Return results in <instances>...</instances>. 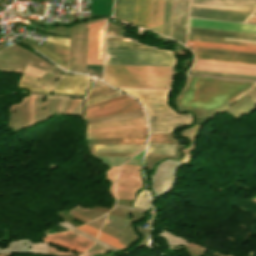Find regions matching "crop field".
Segmentation results:
<instances>
[{
    "label": "crop field",
    "mask_w": 256,
    "mask_h": 256,
    "mask_svg": "<svg viewBox=\"0 0 256 256\" xmlns=\"http://www.w3.org/2000/svg\"><path fill=\"white\" fill-rule=\"evenodd\" d=\"M254 83L189 76L176 103L179 108L219 111L238 99Z\"/></svg>",
    "instance_id": "crop-field-1"
},
{
    "label": "crop field",
    "mask_w": 256,
    "mask_h": 256,
    "mask_svg": "<svg viewBox=\"0 0 256 256\" xmlns=\"http://www.w3.org/2000/svg\"><path fill=\"white\" fill-rule=\"evenodd\" d=\"M171 67L104 65V80L117 87L170 88Z\"/></svg>",
    "instance_id": "crop-field-2"
},
{
    "label": "crop field",
    "mask_w": 256,
    "mask_h": 256,
    "mask_svg": "<svg viewBox=\"0 0 256 256\" xmlns=\"http://www.w3.org/2000/svg\"><path fill=\"white\" fill-rule=\"evenodd\" d=\"M169 51L105 48L104 64L173 66Z\"/></svg>",
    "instance_id": "crop-field-3"
},
{
    "label": "crop field",
    "mask_w": 256,
    "mask_h": 256,
    "mask_svg": "<svg viewBox=\"0 0 256 256\" xmlns=\"http://www.w3.org/2000/svg\"><path fill=\"white\" fill-rule=\"evenodd\" d=\"M190 6L253 12L256 0H191Z\"/></svg>",
    "instance_id": "crop-field-4"
},
{
    "label": "crop field",
    "mask_w": 256,
    "mask_h": 256,
    "mask_svg": "<svg viewBox=\"0 0 256 256\" xmlns=\"http://www.w3.org/2000/svg\"><path fill=\"white\" fill-rule=\"evenodd\" d=\"M251 13L190 7L189 16L196 18L244 22Z\"/></svg>",
    "instance_id": "crop-field-5"
},
{
    "label": "crop field",
    "mask_w": 256,
    "mask_h": 256,
    "mask_svg": "<svg viewBox=\"0 0 256 256\" xmlns=\"http://www.w3.org/2000/svg\"><path fill=\"white\" fill-rule=\"evenodd\" d=\"M46 241L73 250L78 253L85 251L93 242L69 231L43 238Z\"/></svg>",
    "instance_id": "crop-field-6"
},
{
    "label": "crop field",
    "mask_w": 256,
    "mask_h": 256,
    "mask_svg": "<svg viewBox=\"0 0 256 256\" xmlns=\"http://www.w3.org/2000/svg\"><path fill=\"white\" fill-rule=\"evenodd\" d=\"M150 133L172 132L182 125H191L192 116L148 117Z\"/></svg>",
    "instance_id": "crop-field-7"
},
{
    "label": "crop field",
    "mask_w": 256,
    "mask_h": 256,
    "mask_svg": "<svg viewBox=\"0 0 256 256\" xmlns=\"http://www.w3.org/2000/svg\"><path fill=\"white\" fill-rule=\"evenodd\" d=\"M90 80L81 76L62 75L52 91L85 95Z\"/></svg>",
    "instance_id": "crop-field-8"
},
{
    "label": "crop field",
    "mask_w": 256,
    "mask_h": 256,
    "mask_svg": "<svg viewBox=\"0 0 256 256\" xmlns=\"http://www.w3.org/2000/svg\"><path fill=\"white\" fill-rule=\"evenodd\" d=\"M189 0H176L172 38L184 45Z\"/></svg>",
    "instance_id": "crop-field-9"
},
{
    "label": "crop field",
    "mask_w": 256,
    "mask_h": 256,
    "mask_svg": "<svg viewBox=\"0 0 256 256\" xmlns=\"http://www.w3.org/2000/svg\"><path fill=\"white\" fill-rule=\"evenodd\" d=\"M22 42H24V43L30 45L31 47L35 48L36 50L43 53L44 55H46L47 57L52 59L54 62L59 64L61 67L66 69L67 52H68V47L67 46H63V45H59V44H55V43L45 41L43 46L40 47V46H38L34 43H31V42H28V41H25V40H22Z\"/></svg>",
    "instance_id": "crop-field-10"
},
{
    "label": "crop field",
    "mask_w": 256,
    "mask_h": 256,
    "mask_svg": "<svg viewBox=\"0 0 256 256\" xmlns=\"http://www.w3.org/2000/svg\"><path fill=\"white\" fill-rule=\"evenodd\" d=\"M193 67L256 74V65H248V64H239V63H229V62H219V61H209V60L196 59L195 64H194Z\"/></svg>",
    "instance_id": "crop-field-11"
},
{
    "label": "crop field",
    "mask_w": 256,
    "mask_h": 256,
    "mask_svg": "<svg viewBox=\"0 0 256 256\" xmlns=\"http://www.w3.org/2000/svg\"><path fill=\"white\" fill-rule=\"evenodd\" d=\"M188 26L256 33L255 25H245V24H235V23L189 19Z\"/></svg>",
    "instance_id": "crop-field-12"
},
{
    "label": "crop field",
    "mask_w": 256,
    "mask_h": 256,
    "mask_svg": "<svg viewBox=\"0 0 256 256\" xmlns=\"http://www.w3.org/2000/svg\"><path fill=\"white\" fill-rule=\"evenodd\" d=\"M138 103L131 97L119 99L116 101L108 102L103 105L91 107L85 109L86 117L94 116L99 114L110 113L114 111L129 109L133 107H138Z\"/></svg>",
    "instance_id": "crop-field-13"
},
{
    "label": "crop field",
    "mask_w": 256,
    "mask_h": 256,
    "mask_svg": "<svg viewBox=\"0 0 256 256\" xmlns=\"http://www.w3.org/2000/svg\"><path fill=\"white\" fill-rule=\"evenodd\" d=\"M132 136H146V127L87 132V138Z\"/></svg>",
    "instance_id": "crop-field-14"
},
{
    "label": "crop field",
    "mask_w": 256,
    "mask_h": 256,
    "mask_svg": "<svg viewBox=\"0 0 256 256\" xmlns=\"http://www.w3.org/2000/svg\"><path fill=\"white\" fill-rule=\"evenodd\" d=\"M188 34L218 36V37H225V38L256 41V34L230 32V31H220V30H211V29H202V28L188 27Z\"/></svg>",
    "instance_id": "crop-field-15"
},
{
    "label": "crop field",
    "mask_w": 256,
    "mask_h": 256,
    "mask_svg": "<svg viewBox=\"0 0 256 256\" xmlns=\"http://www.w3.org/2000/svg\"><path fill=\"white\" fill-rule=\"evenodd\" d=\"M135 0H115L113 17L133 25Z\"/></svg>",
    "instance_id": "crop-field-16"
},
{
    "label": "crop field",
    "mask_w": 256,
    "mask_h": 256,
    "mask_svg": "<svg viewBox=\"0 0 256 256\" xmlns=\"http://www.w3.org/2000/svg\"><path fill=\"white\" fill-rule=\"evenodd\" d=\"M164 0H151L148 28L161 34Z\"/></svg>",
    "instance_id": "crop-field-17"
},
{
    "label": "crop field",
    "mask_w": 256,
    "mask_h": 256,
    "mask_svg": "<svg viewBox=\"0 0 256 256\" xmlns=\"http://www.w3.org/2000/svg\"><path fill=\"white\" fill-rule=\"evenodd\" d=\"M180 161L166 160L159 164L153 178L157 179H174L175 171L179 166Z\"/></svg>",
    "instance_id": "crop-field-18"
},
{
    "label": "crop field",
    "mask_w": 256,
    "mask_h": 256,
    "mask_svg": "<svg viewBox=\"0 0 256 256\" xmlns=\"http://www.w3.org/2000/svg\"><path fill=\"white\" fill-rule=\"evenodd\" d=\"M150 0H136L134 25L147 29Z\"/></svg>",
    "instance_id": "crop-field-19"
},
{
    "label": "crop field",
    "mask_w": 256,
    "mask_h": 256,
    "mask_svg": "<svg viewBox=\"0 0 256 256\" xmlns=\"http://www.w3.org/2000/svg\"><path fill=\"white\" fill-rule=\"evenodd\" d=\"M187 42H192V41H187ZM187 46L256 53V48H252V47H242V46H232V45H222V44H212V43H202V42H192V45H187Z\"/></svg>",
    "instance_id": "crop-field-20"
},
{
    "label": "crop field",
    "mask_w": 256,
    "mask_h": 256,
    "mask_svg": "<svg viewBox=\"0 0 256 256\" xmlns=\"http://www.w3.org/2000/svg\"><path fill=\"white\" fill-rule=\"evenodd\" d=\"M18 87L48 92L51 86L39 80L22 75Z\"/></svg>",
    "instance_id": "crop-field-21"
},
{
    "label": "crop field",
    "mask_w": 256,
    "mask_h": 256,
    "mask_svg": "<svg viewBox=\"0 0 256 256\" xmlns=\"http://www.w3.org/2000/svg\"><path fill=\"white\" fill-rule=\"evenodd\" d=\"M142 123H146L145 117L90 124V125H87V129L142 124Z\"/></svg>",
    "instance_id": "crop-field-22"
},
{
    "label": "crop field",
    "mask_w": 256,
    "mask_h": 256,
    "mask_svg": "<svg viewBox=\"0 0 256 256\" xmlns=\"http://www.w3.org/2000/svg\"><path fill=\"white\" fill-rule=\"evenodd\" d=\"M187 40L256 47V43L223 40V38H213V37L188 35Z\"/></svg>",
    "instance_id": "crop-field-23"
},
{
    "label": "crop field",
    "mask_w": 256,
    "mask_h": 256,
    "mask_svg": "<svg viewBox=\"0 0 256 256\" xmlns=\"http://www.w3.org/2000/svg\"><path fill=\"white\" fill-rule=\"evenodd\" d=\"M195 58L212 59V60H223V61H232V62H242V63L256 64V59L229 57V56H219V55H209V54H199V53H195Z\"/></svg>",
    "instance_id": "crop-field-24"
},
{
    "label": "crop field",
    "mask_w": 256,
    "mask_h": 256,
    "mask_svg": "<svg viewBox=\"0 0 256 256\" xmlns=\"http://www.w3.org/2000/svg\"><path fill=\"white\" fill-rule=\"evenodd\" d=\"M175 145L148 142L146 153L173 155Z\"/></svg>",
    "instance_id": "crop-field-25"
},
{
    "label": "crop field",
    "mask_w": 256,
    "mask_h": 256,
    "mask_svg": "<svg viewBox=\"0 0 256 256\" xmlns=\"http://www.w3.org/2000/svg\"><path fill=\"white\" fill-rule=\"evenodd\" d=\"M189 48L193 52H199V53L256 58V54H251V53H241V52H231V51H221V50H211V49H201V48H191V47H189Z\"/></svg>",
    "instance_id": "crop-field-26"
},
{
    "label": "crop field",
    "mask_w": 256,
    "mask_h": 256,
    "mask_svg": "<svg viewBox=\"0 0 256 256\" xmlns=\"http://www.w3.org/2000/svg\"><path fill=\"white\" fill-rule=\"evenodd\" d=\"M145 145H94L95 150L136 151Z\"/></svg>",
    "instance_id": "crop-field-27"
},
{
    "label": "crop field",
    "mask_w": 256,
    "mask_h": 256,
    "mask_svg": "<svg viewBox=\"0 0 256 256\" xmlns=\"http://www.w3.org/2000/svg\"><path fill=\"white\" fill-rule=\"evenodd\" d=\"M172 0H165L162 34L168 36Z\"/></svg>",
    "instance_id": "crop-field-28"
},
{
    "label": "crop field",
    "mask_w": 256,
    "mask_h": 256,
    "mask_svg": "<svg viewBox=\"0 0 256 256\" xmlns=\"http://www.w3.org/2000/svg\"><path fill=\"white\" fill-rule=\"evenodd\" d=\"M114 92H117V91L109 88L106 85L100 86V87H96V88H92L90 90V92H89V95H88L86 101L90 100V99H94V98L100 97V96H104V95H107V94H110V93H114Z\"/></svg>",
    "instance_id": "crop-field-29"
},
{
    "label": "crop field",
    "mask_w": 256,
    "mask_h": 256,
    "mask_svg": "<svg viewBox=\"0 0 256 256\" xmlns=\"http://www.w3.org/2000/svg\"><path fill=\"white\" fill-rule=\"evenodd\" d=\"M105 47L150 49L134 42L106 41ZM153 49V48H152Z\"/></svg>",
    "instance_id": "crop-field-30"
},
{
    "label": "crop field",
    "mask_w": 256,
    "mask_h": 256,
    "mask_svg": "<svg viewBox=\"0 0 256 256\" xmlns=\"http://www.w3.org/2000/svg\"><path fill=\"white\" fill-rule=\"evenodd\" d=\"M134 206L148 208L151 206L146 189H143L134 201Z\"/></svg>",
    "instance_id": "crop-field-31"
},
{
    "label": "crop field",
    "mask_w": 256,
    "mask_h": 256,
    "mask_svg": "<svg viewBox=\"0 0 256 256\" xmlns=\"http://www.w3.org/2000/svg\"><path fill=\"white\" fill-rule=\"evenodd\" d=\"M98 238L107 242V243H109V244H111V245H113V246H115V247H117V248H119V249L124 247V246L117 243V239H115V238H113V237H111V236H109V235H107L103 232H100Z\"/></svg>",
    "instance_id": "crop-field-32"
},
{
    "label": "crop field",
    "mask_w": 256,
    "mask_h": 256,
    "mask_svg": "<svg viewBox=\"0 0 256 256\" xmlns=\"http://www.w3.org/2000/svg\"><path fill=\"white\" fill-rule=\"evenodd\" d=\"M163 180H154L152 179V188L156 196L162 193Z\"/></svg>",
    "instance_id": "crop-field-33"
},
{
    "label": "crop field",
    "mask_w": 256,
    "mask_h": 256,
    "mask_svg": "<svg viewBox=\"0 0 256 256\" xmlns=\"http://www.w3.org/2000/svg\"><path fill=\"white\" fill-rule=\"evenodd\" d=\"M192 72L256 79V77H254V76H244V75H235V74H226V73H216V72H207V71H197V70H193Z\"/></svg>",
    "instance_id": "crop-field-34"
},
{
    "label": "crop field",
    "mask_w": 256,
    "mask_h": 256,
    "mask_svg": "<svg viewBox=\"0 0 256 256\" xmlns=\"http://www.w3.org/2000/svg\"><path fill=\"white\" fill-rule=\"evenodd\" d=\"M77 228L82 230V231H84V232H86V233H88V234H90V235H92V236H94V237H97V234L99 232L98 230H96V229H94V228H92V227H90V226H88L86 224H84V225H82L80 227H77Z\"/></svg>",
    "instance_id": "crop-field-35"
},
{
    "label": "crop field",
    "mask_w": 256,
    "mask_h": 256,
    "mask_svg": "<svg viewBox=\"0 0 256 256\" xmlns=\"http://www.w3.org/2000/svg\"><path fill=\"white\" fill-rule=\"evenodd\" d=\"M47 40L69 46V39L67 38L48 36Z\"/></svg>",
    "instance_id": "crop-field-36"
},
{
    "label": "crop field",
    "mask_w": 256,
    "mask_h": 256,
    "mask_svg": "<svg viewBox=\"0 0 256 256\" xmlns=\"http://www.w3.org/2000/svg\"><path fill=\"white\" fill-rule=\"evenodd\" d=\"M122 97H126V96H125L124 94H123V95H120V96H116V97H113V98H110V99H107V100H103V101H100V102H97V103H94V104L85 106V108H86V107H90V106H94V105H97V104L105 103V102L110 101V100L122 98Z\"/></svg>",
    "instance_id": "crop-field-37"
},
{
    "label": "crop field",
    "mask_w": 256,
    "mask_h": 256,
    "mask_svg": "<svg viewBox=\"0 0 256 256\" xmlns=\"http://www.w3.org/2000/svg\"><path fill=\"white\" fill-rule=\"evenodd\" d=\"M116 207H118V208H124V209H130V210H136V211H142V212L145 211V209H143V208L130 207V206H124V205H119V204H117Z\"/></svg>",
    "instance_id": "crop-field-38"
},
{
    "label": "crop field",
    "mask_w": 256,
    "mask_h": 256,
    "mask_svg": "<svg viewBox=\"0 0 256 256\" xmlns=\"http://www.w3.org/2000/svg\"><path fill=\"white\" fill-rule=\"evenodd\" d=\"M119 94H122V93L118 92V93L111 94V95H108V96H105V97H101V98H98V99H95V100H91V101L86 102V104H90V103H93V102H96V101H100V100H103V99H106V98H110V97H113V96H116V95H119Z\"/></svg>",
    "instance_id": "crop-field-39"
},
{
    "label": "crop field",
    "mask_w": 256,
    "mask_h": 256,
    "mask_svg": "<svg viewBox=\"0 0 256 256\" xmlns=\"http://www.w3.org/2000/svg\"><path fill=\"white\" fill-rule=\"evenodd\" d=\"M96 243H98V244H100V245H102V246H104V247H106V248H108V249H110V250H112V251L118 250V249H116V248H114V247H112V246H110V245H108V244H106V243H104V242H102V241H100V240H97Z\"/></svg>",
    "instance_id": "crop-field-40"
},
{
    "label": "crop field",
    "mask_w": 256,
    "mask_h": 256,
    "mask_svg": "<svg viewBox=\"0 0 256 256\" xmlns=\"http://www.w3.org/2000/svg\"><path fill=\"white\" fill-rule=\"evenodd\" d=\"M72 231H74V232H76V233H78V234H80V235H82V236H84V237H86V238H88V239H90L92 241H95V238H93V237H91V236H89V235H87V234H85V233H83V232H81V231H79L77 229H74Z\"/></svg>",
    "instance_id": "crop-field-41"
},
{
    "label": "crop field",
    "mask_w": 256,
    "mask_h": 256,
    "mask_svg": "<svg viewBox=\"0 0 256 256\" xmlns=\"http://www.w3.org/2000/svg\"><path fill=\"white\" fill-rule=\"evenodd\" d=\"M142 108H139V109H133V110H127V111H122V112H116V113H111V114H105V115H99V116H94V117H88L86 119H89V118H95V117H101V116H106V115H112V114H117V113H123V112H129V111H134V110H140Z\"/></svg>",
    "instance_id": "crop-field-42"
}]
</instances>
